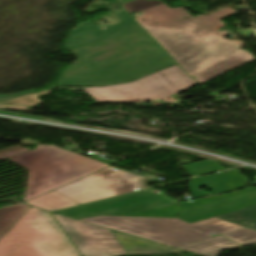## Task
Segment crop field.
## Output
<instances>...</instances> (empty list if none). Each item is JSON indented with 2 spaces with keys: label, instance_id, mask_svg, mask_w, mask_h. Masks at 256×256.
I'll use <instances>...</instances> for the list:
<instances>
[{
  "label": "crop field",
  "instance_id": "5142ce71",
  "mask_svg": "<svg viewBox=\"0 0 256 256\" xmlns=\"http://www.w3.org/2000/svg\"><path fill=\"white\" fill-rule=\"evenodd\" d=\"M28 208L21 204L0 209V238L16 223Z\"/></svg>",
  "mask_w": 256,
  "mask_h": 256
},
{
  "label": "crop field",
  "instance_id": "8a807250",
  "mask_svg": "<svg viewBox=\"0 0 256 256\" xmlns=\"http://www.w3.org/2000/svg\"><path fill=\"white\" fill-rule=\"evenodd\" d=\"M116 15V25L98 28L84 22L71 30L65 47L78 60L57 86L123 83L176 63L127 11Z\"/></svg>",
  "mask_w": 256,
  "mask_h": 256
},
{
  "label": "crop field",
  "instance_id": "d1516ede",
  "mask_svg": "<svg viewBox=\"0 0 256 256\" xmlns=\"http://www.w3.org/2000/svg\"><path fill=\"white\" fill-rule=\"evenodd\" d=\"M235 247H240V245L219 236L178 248L203 256H218L222 250Z\"/></svg>",
  "mask_w": 256,
  "mask_h": 256
},
{
  "label": "crop field",
  "instance_id": "34b2d1b8",
  "mask_svg": "<svg viewBox=\"0 0 256 256\" xmlns=\"http://www.w3.org/2000/svg\"><path fill=\"white\" fill-rule=\"evenodd\" d=\"M154 189L54 211L76 219L97 215L179 218L190 224L256 204V188L235 193L177 202Z\"/></svg>",
  "mask_w": 256,
  "mask_h": 256
},
{
  "label": "crop field",
  "instance_id": "412701ff",
  "mask_svg": "<svg viewBox=\"0 0 256 256\" xmlns=\"http://www.w3.org/2000/svg\"><path fill=\"white\" fill-rule=\"evenodd\" d=\"M10 159L30 170L24 201L108 166L57 146L46 145H39L35 151Z\"/></svg>",
  "mask_w": 256,
  "mask_h": 256
},
{
  "label": "crop field",
  "instance_id": "733c2abd",
  "mask_svg": "<svg viewBox=\"0 0 256 256\" xmlns=\"http://www.w3.org/2000/svg\"><path fill=\"white\" fill-rule=\"evenodd\" d=\"M181 167L188 174H191V175H203V174L224 169L214 161H202V162H197L193 164L183 165Z\"/></svg>",
  "mask_w": 256,
  "mask_h": 256
},
{
  "label": "crop field",
  "instance_id": "d8731c3e",
  "mask_svg": "<svg viewBox=\"0 0 256 256\" xmlns=\"http://www.w3.org/2000/svg\"><path fill=\"white\" fill-rule=\"evenodd\" d=\"M150 177L107 167L57 190L59 194L79 203L96 201L143 189L141 182Z\"/></svg>",
  "mask_w": 256,
  "mask_h": 256
},
{
  "label": "crop field",
  "instance_id": "e52e79f7",
  "mask_svg": "<svg viewBox=\"0 0 256 256\" xmlns=\"http://www.w3.org/2000/svg\"><path fill=\"white\" fill-rule=\"evenodd\" d=\"M196 85L176 65L136 80L129 84L102 88H83L95 102H115L133 100L175 101L170 96Z\"/></svg>",
  "mask_w": 256,
  "mask_h": 256
},
{
  "label": "crop field",
  "instance_id": "dd49c442",
  "mask_svg": "<svg viewBox=\"0 0 256 256\" xmlns=\"http://www.w3.org/2000/svg\"><path fill=\"white\" fill-rule=\"evenodd\" d=\"M63 234L48 213L30 207L0 239V256H79Z\"/></svg>",
  "mask_w": 256,
  "mask_h": 256
},
{
  "label": "crop field",
  "instance_id": "22f410ed",
  "mask_svg": "<svg viewBox=\"0 0 256 256\" xmlns=\"http://www.w3.org/2000/svg\"><path fill=\"white\" fill-rule=\"evenodd\" d=\"M27 204L47 210V211L57 209V208L77 205V203L59 195L54 191L48 194H45L41 197H38L34 200H31L27 202Z\"/></svg>",
  "mask_w": 256,
  "mask_h": 256
},
{
  "label": "crop field",
  "instance_id": "bc2a9ffb",
  "mask_svg": "<svg viewBox=\"0 0 256 256\" xmlns=\"http://www.w3.org/2000/svg\"><path fill=\"white\" fill-rule=\"evenodd\" d=\"M161 3L162 2L158 0H133L131 2L124 4V7L128 12H139Z\"/></svg>",
  "mask_w": 256,
  "mask_h": 256
},
{
  "label": "crop field",
  "instance_id": "f4fd0767",
  "mask_svg": "<svg viewBox=\"0 0 256 256\" xmlns=\"http://www.w3.org/2000/svg\"><path fill=\"white\" fill-rule=\"evenodd\" d=\"M80 220L173 247L210 238L207 234L212 231L223 234L245 229L216 218L192 225L179 219L115 216H97Z\"/></svg>",
  "mask_w": 256,
  "mask_h": 256
},
{
  "label": "crop field",
  "instance_id": "92a150f3",
  "mask_svg": "<svg viewBox=\"0 0 256 256\" xmlns=\"http://www.w3.org/2000/svg\"><path fill=\"white\" fill-rule=\"evenodd\" d=\"M119 3L123 4V2H121L120 0H117Z\"/></svg>",
  "mask_w": 256,
  "mask_h": 256
},
{
  "label": "crop field",
  "instance_id": "5a996713",
  "mask_svg": "<svg viewBox=\"0 0 256 256\" xmlns=\"http://www.w3.org/2000/svg\"><path fill=\"white\" fill-rule=\"evenodd\" d=\"M82 256H114L126 254L108 229L89 225L53 214Z\"/></svg>",
  "mask_w": 256,
  "mask_h": 256
},
{
  "label": "crop field",
  "instance_id": "28ad6ade",
  "mask_svg": "<svg viewBox=\"0 0 256 256\" xmlns=\"http://www.w3.org/2000/svg\"><path fill=\"white\" fill-rule=\"evenodd\" d=\"M120 242L128 255H168L184 252L182 250L167 247L115 231H111Z\"/></svg>",
  "mask_w": 256,
  "mask_h": 256
},
{
  "label": "crop field",
  "instance_id": "3316defc",
  "mask_svg": "<svg viewBox=\"0 0 256 256\" xmlns=\"http://www.w3.org/2000/svg\"><path fill=\"white\" fill-rule=\"evenodd\" d=\"M249 184V180L246 176L239 175L237 170H232L226 174L192 180L189 186L191 190V196L194 198L207 195L205 192L196 190V187L199 186H207L212 190V194H217L233 191Z\"/></svg>",
  "mask_w": 256,
  "mask_h": 256
},
{
  "label": "crop field",
  "instance_id": "214f88e0",
  "mask_svg": "<svg viewBox=\"0 0 256 256\" xmlns=\"http://www.w3.org/2000/svg\"><path fill=\"white\" fill-rule=\"evenodd\" d=\"M33 92H34V90L28 91V92H22V93H18V94H14V95H0V101L9 100V99L14 98L16 96L27 94V93H33Z\"/></svg>",
  "mask_w": 256,
  "mask_h": 256
},
{
  "label": "crop field",
  "instance_id": "ac0d7876",
  "mask_svg": "<svg viewBox=\"0 0 256 256\" xmlns=\"http://www.w3.org/2000/svg\"><path fill=\"white\" fill-rule=\"evenodd\" d=\"M143 12L136 21L200 83L254 60L251 54L237 49L243 42L223 39L227 32H215L224 25L218 20L236 13L230 7L195 18L183 8L170 9L166 4Z\"/></svg>",
  "mask_w": 256,
  "mask_h": 256
},
{
  "label": "crop field",
  "instance_id": "d9b57169",
  "mask_svg": "<svg viewBox=\"0 0 256 256\" xmlns=\"http://www.w3.org/2000/svg\"><path fill=\"white\" fill-rule=\"evenodd\" d=\"M51 89L46 90L44 92L38 93V94H31V95H25L13 100H9L6 102L0 103V109H12V110H23V111H29L33 112L31 110L25 109L28 106L40 104L41 102L36 96L43 95L50 93Z\"/></svg>",
  "mask_w": 256,
  "mask_h": 256
},
{
  "label": "crop field",
  "instance_id": "cbeb9de0",
  "mask_svg": "<svg viewBox=\"0 0 256 256\" xmlns=\"http://www.w3.org/2000/svg\"><path fill=\"white\" fill-rule=\"evenodd\" d=\"M216 218L256 230V205L218 216Z\"/></svg>",
  "mask_w": 256,
  "mask_h": 256
},
{
  "label": "crop field",
  "instance_id": "4a817a6b",
  "mask_svg": "<svg viewBox=\"0 0 256 256\" xmlns=\"http://www.w3.org/2000/svg\"><path fill=\"white\" fill-rule=\"evenodd\" d=\"M224 236L243 246L256 244V232L250 229L229 233Z\"/></svg>",
  "mask_w": 256,
  "mask_h": 256
}]
</instances>
